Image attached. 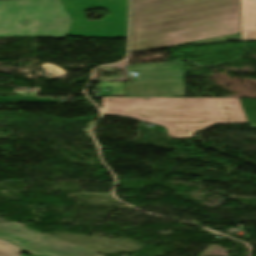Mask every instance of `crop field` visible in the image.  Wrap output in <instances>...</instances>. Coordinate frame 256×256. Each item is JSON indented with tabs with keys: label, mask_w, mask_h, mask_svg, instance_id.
<instances>
[{
	"label": "crop field",
	"mask_w": 256,
	"mask_h": 256,
	"mask_svg": "<svg viewBox=\"0 0 256 256\" xmlns=\"http://www.w3.org/2000/svg\"><path fill=\"white\" fill-rule=\"evenodd\" d=\"M240 0H132L129 54L239 32Z\"/></svg>",
	"instance_id": "obj_1"
},
{
	"label": "crop field",
	"mask_w": 256,
	"mask_h": 256,
	"mask_svg": "<svg viewBox=\"0 0 256 256\" xmlns=\"http://www.w3.org/2000/svg\"><path fill=\"white\" fill-rule=\"evenodd\" d=\"M104 113L163 125L172 138H192L215 125L206 98H102Z\"/></svg>",
	"instance_id": "obj_2"
},
{
	"label": "crop field",
	"mask_w": 256,
	"mask_h": 256,
	"mask_svg": "<svg viewBox=\"0 0 256 256\" xmlns=\"http://www.w3.org/2000/svg\"><path fill=\"white\" fill-rule=\"evenodd\" d=\"M70 24L59 0L0 1V37L66 38Z\"/></svg>",
	"instance_id": "obj_3"
},
{
	"label": "crop field",
	"mask_w": 256,
	"mask_h": 256,
	"mask_svg": "<svg viewBox=\"0 0 256 256\" xmlns=\"http://www.w3.org/2000/svg\"><path fill=\"white\" fill-rule=\"evenodd\" d=\"M73 23L68 35L92 38H122L127 30L128 0H61ZM94 7V8H92ZM104 8V20L89 22L84 10Z\"/></svg>",
	"instance_id": "obj_4"
},
{
	"label": "crop field",
	"mask_w": 256,
	"mask_h": 256,
	"mask_svg": "<svg viewBox=\"0 0 256 256\" xmlns=\"http://www.w3.org/2000/svg\"><path fill=\"white\" fill-rule=\"evenodd\" d=\"M0 237L17 243L36 256H101L72 244L58 242L53 239L41 240L45 236L29 232L21 224L16 223H0Z\"/></svg>",
	"instance_id": "obj_5"
},
{
	"label": "crop field",
	"mask_w": 256,
	"mask_h": 256,
	"mask_svg": "<svg viewBox=\"0 0 256 256\" xmlns=\"http://www.w3.org/2000/svg\"><path fill=\"white\" fill-rule=\"evenodd\" d=\"M207 99L217 124L248 123L238 99Z\"/></svg>",
	"instance_id": "obj_6"
},
{
	"label": "crop field",
	"mask_w": 256,
	"mask_h": 256,
	"mask_svg": "<svg viewBox=\"0 0 256 256\" xmlns=\"http://www.w3.org/2000/svg\"><path fill=\"white\" fill-rule=\"evenodd\" d=\"M242 40H256V0H242Z\"/></svg>",
	"instance_id": "obj_7"
},
{
	"label": "crop field",
	"mask_w": 256,
	"mask_h": 256,
	"mask_svg": "<svg viewBox=\"0 0 256 256\" xmlns=\"http://www.w3.org/2000/svg\"><path fill=\"white\" fill-rule=\"evenodd\" d=\"M0 102L58 103V100H50V97H0Z\"/></svg>",
	"instance_id": "obj_8"
},
{
	"label": "crop field",
	"mask_w": 256,
	"mask_h": 256,
	"mask_svg": "<svg viewBox=\"0 0 256 256\" xmlns=\"http://www.w3.org/2000/svg\"><path fill=\"white\" fill-rule=\"evenodd\" d=\"M22 249L14 244L0 240V256H20Z\"/></svg>",
	"instance_id": "obj_9"
}]
</instances>
